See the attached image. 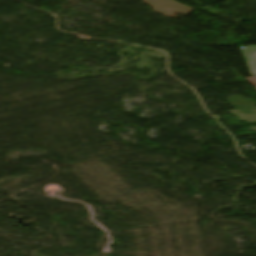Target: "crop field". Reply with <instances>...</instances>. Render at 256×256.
Returning <instances> with one entry per match:
<instances>
[{"label": "crop field", "instance_id": "crop-field-1", "mask_svg": "<svg viewBox=\"0 0 256 256\" xmlns=\"http://www.w3.org/2000/svg\"><path fill=\"white\" fill-rule=\"evenodd\" d=\"M252 77H256V47H246L242 50Z\"/></svg>", "mask_w": 256, "mask_h": 256}]
</instances>
